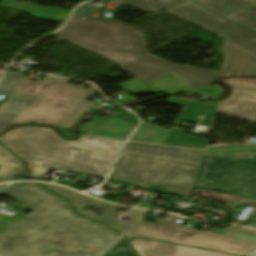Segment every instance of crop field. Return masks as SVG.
<instances>
[{
    "label": "crop field",
    "instance_id": "8a807250",
    "mask_svg": "<svg viewBox=\"0 0 256 256\" xmlns=\"http://www.w3.org/2000/svg\"><path fill=\"white\" fill-rule=\"evenodd\" d=\"M122 141L84 134L64 141L42 127H18L0 137L2 145L27 163L32 177L43 176L49 168L105 177Z\"/></svg>",
    "mask_w": 256,
    "mask_h": 256
},
{
    "label": "crop field",
    "instance_id": "ac0d7876",
    "mask_svg": "<svg viewBox=\"0 0 256 256\" xmlns=\"http://www.w3.org/2000/svg\"><path fill=\"white\" fill-rule=\"evenodd\" d=\"M203 151L127 142L109 179L188 197Z\"/></svg>",
    "mask_w": 256,
    "mask_h": 256
},
{
    "label": "crop field",
    "instance_id": "34b2d1b8",
    "mask_svg": "<svg viewBox=\"0 0 256 256\" xmlns=\"http://www.w3.org/2000/svg\"><path fill=\"white\" fill-rule=\"evenodd\" d=\"M2 192L23 200L35 211L0 235V246L12 250L0 256H21L80 216L66 200L36 183H12Z\"/></svg>",
    "mask_w": 256,
    "mask_h": 256
},
{
    "label": "crop field",
    "instance_id": "412701ff",
    "mask_svg": "<svg viewBox=\"0 0 256 256\" xmlns=\"http://www.w3.org/2000/svg\"><path fill=\"white\" fill-rule=\"evenodd\" d=\"M55 35L118 65L147 54L142 33L115 20L75 14Z\"/></svg>",
    "mask_w": 256,
    "mask_h": 256
},
{
    "label": "crop field",
    "instance_id": "f4fd0767",
    "mask_svg": "<svg viewBox=\"0 0 256 256\" xmlns=\"http://www.w3.org/2000/svg\"><path fill=\"white\" fill-rule=\"evenodd\" d=\"M221 53L226 55L224 68L219 73L198 68L173 65L154 56L145 55L118 68L149 83L169 72L177 75L191 89L211 85L226 74L256 75V57L224 41Z\"/></svg>",
    "mask_w": 256,
    "mask_h": 256
},
{
    "label": "crop field",
    "instance_id": "dd49c442",
    "mask_svg": "<svg viewBox=\"0 0 256 256\" xmlns=\"http://www.w3.org/2000/svg\"><path fill=\"white\" fill-rule=\"evenodd\" d=\"M144 13L163 9L256 56V35L188 0H109ZM218 18L226 20L221 23Z\"/></svg>",
    "mask_w": 256,
    "mask_h": 256
},
{
    "label": "crop field",
    "instance_id": "e52e79f7",
    "mask_svg": "<svg viewBox=\"0 0 256 256\" xmlns=\"http://www.w3.org/2000/svg\"><path fill=\"white\" fill-rule=\"evenodd\" d=\"M195 186L256 198V156L232 158L205 153Z\"/></svg>",
    "mask_w": 256,
    "mask_h": 256
},
{
    "label": "crop field",
    "instance_id": "d8731c3e",
    "mask_svg": "<svg viewBox=\"0 0 256 256\" xmlns=\"http://www.w3.org/2000/svg\"><path fill=\"white\" fill-rule=\"evenodd\" d=\"M68 81L48 75L43 82H33L22 77L15 93L32 94L40 98L11 124L46 123L57 127L76 87L67 84Z\"/></svg>",
    "mask_w": 256,
    "mask_h": 256
},
{
    "label": "crop field",
    "instance_id": "5a996713",
    "mask_svg": "<svg viewBox=\"0 0 256 256\" xmlns=\"http://www.w3.org/2000/svg\"><path fill=\"white\" fill-rule=\"evenodd\" d=\"M179 244L224 253L248 256L256 249V241L196 230L192 236L180 234Z\"/></svg>",
    "mask_w": 256,
    "mask_h": 256
},
{
    "label": "crop field",
    "instance_id": "3316defc",
    "mask_svg": "<svg viewBox=\"0 0 256 256\" xmlns=\"http://www.w3.org/2000/svg\"><path fill=\"white\" fill-rule=\"evenodd\" d=\"M256 32V2L252 0H192Z\"/></svg>",
    "mask_w": 256,
    "mask_h": 256
},
{
    "label": "crop field",
    "instance_id": "28ad6ade",
    "mask_svg": "<svg viewBox=\"0 0 256 256\" xmlns=\"http://www.w3.org/2000/svg\"><path fill=\"white\" fill-rule=\"evenodd\" d=\"M230 88L231 94L220 102L218 112L256 122V88Z\"/></svg>",
    "mask_w": 256,
    "mask_h": 256
},
{
    "label": "crop field",
    "instance_id": "d1516ede",
    "mask_svg": "<svg viewBox=\"0 0 256 256\" xmlns=\"http://www.w3.org/2000/svg\"><path fill=\"white\" fill-rule=\"evenodd\" d=\"M22 77V72L5 73L0 83V93L12 95L0 106V132L13 122L34 100L16 98L13 94Z\"/></svg>",
    "mask_w": 256,
    "mask_h": 256
},
{
    "label": "crop field",
    "instance_id": "22f410ed",
    "mask_svg": "<svg viewBox=\"0 0 256 256\" xmlns=\"http://www.w3.org/2000/svg\"><path fill=\"white\" fill-rule=\"evenodd\" d=\"M176 216L169 221L158 220L154 223L140 221L125 237L127 239L148 237L169 242H177L181 225L175 223Z\"/></svg>",
    "mask_w": 256,
    "mask_h": 256
},
{
    "label": "crop field",
    "instance_id": "cbeb9de0",
    "mask_svg": "<svg viewBox=\"0 0 256 256\" xmlns=\"http://www.w3.org/2000/svg\"><path fill=\"white\" fill-rule=\"evenodd\" d=\"M43 242L64 249L80 247L95 253V250L99 248L96 244L98 242L104 243V237L64 227Z\"/></svg>",
    "mask_w": 256,
    "mask_h": 256
},
{
    "label": "crop field",
    "instance_id": "5142ce71",
    "mask_svg": "<svg viewBox=\"0 0 256 256\" xmlns=\"http://www.w3.org/2000/svg\"><path fill=\"white\" fill-rule=\"evenodd\" d=\"M137 125L136 123H130L119 118L108 117L80 126L79 132L126 139Z\"/></svg>",
    "mask_w": 256,
    "mask_h": 256
},
{
    "label": "crop field",
    "instance_id": "d9b57169",
    "mask_svg": "<svg viewBox=\"0 0 256 256\" xmlns=\"http://www.w3.org/2000/svg\"><path fill=\"white\" fill-rule=\"evenodd\" d=\"M116 86L126 92L135 93L177 91L190 89L172 72L147 85L139 81L138 79L134 78L132 80L126 81Z\"/></svg>",
    "mask_w": 256,
    "mask_h": 256
},
{
    "label": "crop field",
    "instance_id": "733c2abd",
    "mask_svg": "<svg viewBox=\"0 0 256 256\" xmlns=\"http://www.w3.org/2000/svg\"><path fill=\"white\" fill-rule=\"evenodd\" d=\"M86 85L91 86V90L84 89ZM95 92L96 89L89 83L78 85L58 126L72 129L77 119L95 104L86 101L87 98Z\"/></svg>",
    "mask_w": 256,
    "mask_h": 256
},
{
    "label": "crop field",
    "instance_id": "4a817a6b",
    "mask_svg": "<svg viewBox=\"0 0 256 256\" xmlns=\"http://www.w3.org/2000/svg\"><path fill=\"white\" fill-rule=\"evenodd\" d=\"M218 106L219 102L207 104L188 99L176 124H178L180 120L199 124L200 118H198V116L202 114L206 117L202 120L201 124L212 127Z\"/></svg>",
    "mask_w": 256,
    "mask_h": 256
},
{
    "label": "crop field",
    "instance_id": "bc2a9ffb",
    "mask_svg": "<svg viewBox=\"0 0 256 256\" xmlns=\"http://www.w3.org/2000/svg\"><path fill=\"white\" fill-rule=\"evenodd\" d=\"M140 256H171L176 245L148 239L129 241Z\"/></svg>",
    "mask_w": 256,
    "mask_h": 256
},
{
    "label": "crop field",
    "instance_id": "214f88e0",
    "mask_svg": "<svg viewBox=\"0 0 256 256\" xmlns=\"http://www.w3.org/2000/svg\"><path fill=\"white\" fill-rule=\"evenodd\" d=\"M22 256H97L89 251L75 248L73 250H64L62 248L45 244L41 242L29 252Z\"/></svg>",
    "mask_w": 256,
    "mask_h": 256
},
{
    "label": "crop field",
    "instance_id": "92a150f3",
    "mask_svg": "<svg viewBox=\"0 0 256 256\" xmlns=\"http://www.w3.org/2000/svg\"><path fill=\"white\" fill-rule=\"evenodd\" d=\"M169 132L170 129L143 123L129 140L163 144Z\"/></svg>",
    "mask_w": 256,
    "mask_h": 256
},
{
    "label": "crop field",
    "instance_id": "dafd665d",
    "mask_svg": "<svg viewBox=\"0 0 256 256\" xmlns=\"http://www.w3.org/2000/svg\"><path fill=\"white\" fill-rule=\"evenodd\" d=\"M208 139L186 134L179 129L172 128L164 144L204 149Z\"/></svg>",
    "mask_w": 256,
    "mask_h": 256
},
{
    "label": "crop field",
    "instance_id": "00972430",
    "mask_svg": "<svg viewBox=\"0 0 256 256\" xmlns=\"http://www.w3.org/2000/svg\"><path fill=\"white\" fill-rule=\"evenodd\" d=\"M23 166L24 164L0 146V182L10 181Z\"/></svg>",
    "mask_w": 256,
    "mask_h": 256
},
{
    "label": "crop field",
    "instance_id": "a9b5d70f",
    "mask_svg": "<svg viewBox=\"0 0 256 256\" xmlns=\"http://www.w3.org/2000/svg\"><path fill=\"white\" fill-rule=\"evenodd\" d=\"M42 184V183H40ZM56 192H58L59 194H61L62 196L66 197L67 199H69L71 201V203L75 206V208L79 211V213H84L82 211V209L80 208L83 205H90V206H94L97 203H99L100 201L97 200H93L90 199L86 196H83L79 193H76L74 191L68 190L66 188L60 187V186H56V185H49V184H42Z\"/></svg>",
    "mask_w": 256,
    "mask_h": 256
},
{
    "label": "crop field",
    "instance_id": "4177f3b9",
    "mask_svg": "<svg viewBox=\"0 0 256 256\" xmlns=\"http://www.w3.org/2000/svg\"><path fill=\"white\" fill-rule=\"evenodd\" d=\"M27 13H29L31 16L38 19L51 20V21L64 23L70 11L60 9V8H42V7L35 6L31 10L27 11Z\"/></svg>",
    "mask_w": 256,
    "mask_h": 256
},
{
    "label": "crop field",
    "instance_id": "730fd06b",
    "mask_svg": "<svg viewBox=\"0 0 256 256\" xmlns=\"http://www.w3.org/2000/svg\"><path fill=\"white\" fill-rule=\"evenodd\" d=\"M94 207L102 211V218H98L93 212L90 211H87L82 215H85L108 226H112L117 221V219H115L117 210L116 205L101 202Z\"/></svg>",
    "mask_w": 256,
    "mask_h": 256
},
{
    "label": "crop field",
    "instance_id": "eef30255",
    "mask_svg": "<svg viewBox=\"0 0 256 256\" xmlns=\"http://www.w3.org/2000/svg\"><path fill=\"white\" fill-rule=\"evenodd\" d=\"M67 227L95 233L100 236H103V234L109 229L103 225H100V224L93 222L89 219H86L82 216L78 217L73 222L68 224Z\"/></svg>",
    "mask_w": 256,
    "mask_h": 256
},
{
    "label": "crop field",
    "instance_id": "ae1a2a85",
    "mask_svg": "<svg viewBox=\"0 0 256 256\" xmlns=\"http://www.w3.org/2000/svg\"><path fill=\"white\" fill-rule=\"evenodd\" d=\"M172 256H232L206 250L177 245Z\"/></svg>",
    "mask_w": 256,
    "mask_h": 256
},
{
    "label": "crop field",
    "instance_id": "d3111659",
    "mask_svg": "<svg viewBox=\"0 0 256 256\" xmlns=\"http://www.w3.org/2000/svg\"><path fill=\"white\" fill-rule=\"evenodd\" d=\"M145 212L146 211H144V210H138V209L132 210L128 214L124 215L125 217L130 218V221L129 222L118 221V223L114 226V229L120 233H124L132 225H134L139 219H141L143 217V215L145 214Z\"/></svg>",
    "mask_w": 256,
    "mask_h": 256
},
{
    "label": "crop field",
    "instance_id": "750c4746",
    "mask_svg": "<svg viewBox=\"0 0 256 256\" xmlns=\"http://www.w3.org/2000/svg\"><path fill=\"white\" fill-rule=\"evenodd\" d=\"M103 256H135V254L130 249V247L125 243V241L121 238L119 242Z\"/></svg>",
    "mask_w": 256,
    "mask_h": 256
},
{
    "label": "crop field",
    "instance_id": "bd1437ed",
    "mask_svg": "<svg viewBox=\"0 0 256 256\" xmlns=\"http://www.w3.org/2000/svg\"><path fill=\"white\" fill-rule=\"evenodd\" d=\"M222 234L256 240V231L249 230V229L226 227L225 230L222 232Z\"/></svg>",
    "mask_w": 256,
    "mask_h": 256
},
{
    "label": "crop field",
    "instance_id": "1d83c4d3",
    "mask_svg": "<svg viewBox=\"0 0 256 256\" xmlns=\"http://www.w3.org/2000/svg\"><path fill=\"white\" fill-rule=\"evenodd\" d=\"M223 82L230 86L256 87V78H228Z\"/></svg>",
    "mask_w": 256,
    "mask_h": 256
},
{
    "label": "crop field",
    "instance_id": "120bbe31",
    "mask_svg": "<svg viewBox=\"0 0 256 256\" xmlns=\"http://www.w3.org/2000/svg\"><path fill=\"white\" fill-rule=\"evenodd\" d=\"M224 203H226L225 207L237 208L243 204L256 205V200L231 195L228 199L224 201Z\"/></svg>",
    "mask_w": 256,
    "mask_h": 256
},
{
    "label": "crop field",
    "instance_id": "d32e631a",
    "mask_svg": "<svg viewBox=\"0 0 256 256\" xmlns=\"http://www.w3.org/2000/svg\"><path fill=\"white\" fill-rule=\"evenodd\" d=\"M119 237L113 230H110L105 237V244L96 252L101 255Z\"/></svg>",
    "mask_w": 256,
    "mask_h": 256
},
{
    "label": "crop field",
    "instance_id": "5866460e",
    "mask_svg": "<svg viewBox=\"0 0 256 256\" xmlns=\"http://www.w3.org/2000/svg\"><path fill=\"white\" fill-rule=\"evenodd\" d=\"M34 6L35 5L14 1L13 4L10 6V8H15V9L27 11V10H29V8H32Z\"/></svg>",
    "mask_w": 256,
    "mask_h": 256
},
{
    "label": "crop field",
    "instance_id": "028f5c9d",
    "mask_svg": "<svg viewBox=\"0 0 256 256\" xmlns=\"http://www.w3.org/2000/svg\"><path fill=\"white\" fill-rule=\"evenodd\" d=\"M120 95H123V97L121 99L114 100V99L110 98V100L123 105V104H125V103H127V102H129L131 100L137 99V98H135V97H133V96H131L129 94H126V93H123V94H120Z\"/></svg>",
    "mask_w": 256,
    "mask_h": 256
},
{
    "label": "crop field",
    "instance_id": "e1f06a70",
    "mask_svg": "<svg viewBox=\"0 0 256 256\" xmlns=\"http://www.w3.org/2000/svg\"><path fill=\"white\" fill-rule=\"evenodd\" d=\"M186 101L187 99H183V98L168 97L166 102L184 106Z\"/></svg>",
    "mask_w": 256,
    "mask_h": 256
},
{
    "label": "crop field",
    "instance_id": "0bd39190",
    "mask_svg": "<svg viewBox=\"0 0 256 256\" xmlns=\"http://www.w3.org/2000/svg\"><path fill=\"white\" fill-rule=\"evenodd\" d=\"M195 230L182 228L180 233L192 235Z\"/></svg>",
    "mask_w": 256,
    "mask_h": 256
},
{
    "label": "crop field",
    "instance_id": "b80d0937",
    "mask_svg": "<svg viewBox=\"0 0 256 256\" xmlns=\"http://www.w3.org/2000/svg\"><path fill=\"white\" fill-rule=\"evenodd\" d=\"M12 1L10 0H5L3 2L0 3L1 6L7 7Z\"/></svg>",
    "mask_w": 256,
    "mask_h": 256
},
{
    "label": "crop field",
    "instance_id": "c035e120",
    "mask_svg": "<svg viewBox=\"0 0 256 256\" xmlns=\"http://www.w3.org/2000/svg\"><path fill=\"white\" fill-rule=\"evenodd\" d=\"M174 93H185L187 95H195L192 91H187V92H174Z\"/></svg>",
    "mask_w": 256,
    "mask_h": 256
},
{
    "label": "crop field",
    "instance_id": "c21b1889",
    "mask_svg": "<svg viewBox=\"0 0 256 256\" xmlns=\"http://www.w3.org/2000/svg\"><path fill=\"white\" fill-rule=\"evenodd\" d=\"M6 184H2L0 185V190L5 186Z\"/></svg>",
    "mask_w": 256,
    "mask_h": 256
},
{
    "label": "crop field",
    "instance_id": "03da06ac",
    "mask_svg": "<svg viewBox=\"0 0 256 256\" xmlns=\"http://www.w3.org/2000/svg\"><path fill=\"white\" fill-rule=\"evenodd\" d=\"M2 248H4V247H0V250L2 249ZM6 249V248H5ZM8 250V249H7ZM10 251V250H9ZM0 252H2V251H0Z\"/></svg>",
    "mask_w": 256,
    "mask_h": 256
},
{
    "label": "crop field",
    "instance_id": "b54c1fbb",
    "mask_svg": "<svg viewBox=\"0 0 256 256\" xmlns=\"http://www.w3.org/2000/svg\"><path fill=\"white\" fill-rule=\"evenodd\" d=\"M218 21H221V22H223L224 20H221V19H219Z\"/></svg>",
    "mask_w": 256,
    "mask_h": 256
},
{
    "label": "crop field",
    "instance_id": "5d738f31",
    "mask_svg": "<svg viewBox=\"0 0 256 256\" xmlns=\"http://www.w3.org/2000/svg\"><path fill=\"white\" fill-rule=\"evenodd\" d=\"M254 256H256V254Z\"/></svg>",
    "mask_w": 256,
    "mask_h": 256
},
{
    "label": "crop field",
    "instance_id": "d23c7cc5",
    "mask_svg": "<svg viewBox=\"0 0 256 256\" xmlns=\"http://www.w3.org/2000/svg\"><path fill=\"white\" fill-rule=\"evenodd\" d=\"M0 76H1V74H0Z\"/></svg>",
    "mask_w": 256,
    "mask_h": 256
},
{
    "label": "crop field",
    "instance_id": "425ffa30",
    "mask_svg": "<svg viewBox=\"0 0 256 256\" xmlns=\"http://www.w3.org/2000/svg\"><path fill=\"white\" fill-rule=\"evenodd\" d=\"M256 220V219H255Z\"/></svg>",
    "mask_w": 256,
    "mask_h": 256
}]
</instances>
